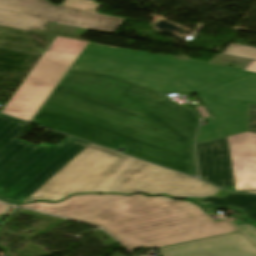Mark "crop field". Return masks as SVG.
Returning a JSON list of instances; mask_svg holds the SVG:
<instances>
[{
  "label": "crop field",
  "mask_w": 256,
  "mask_h": 256,
  "mask_svg": "<svg viewBox=\"0 0 256 256\" xmlns=\"http://www.w3.org/2000/svg\"><path fill=\"white\" fill-rule=\"evenodd\" d=\"M156 56L88 42L31 122L103 146L118 135L123 153L196 176L199 120L166 94L221 83Z\"/></svg>",
  "instance_id": "1"
},
{
  "label": "crop field",
  "mask_w": 256,
  "mask_h": 256,
  "mask_svg": "<svg viewBox=\"0 0 256 256\" xmlns=\"http://www.w3.org/2000/svg\"><path fill=\"white\" fill-rule=\"evenodd\" d=\"M18 206L102 226L129 249L160 248L237 231L228 220L214 222L197 205L169 197L87 194L58 204Z\"/></svg>",
  "instance_id": "2"
},
{
  "label": "crop field",
  "mask_w": 256,
  "mask_h": 256,
  "mask_svg": "<svg viewBox=\"0 0 256 256\" xmlns=\"http://www.w3.org/2000/svg\"><path fill=\"white\" fill-rule=\"evenodd\" d=\"M218 190L201 180L90 144L27 201H58L72 193L87 192L166 193L176 198H203Z\"/></svg>",
  "instance_id": "3"
},
{
  "label": "crop field",
  "mask_w": 256,
  "mask_h": 256,
  "mask_svg": "<svg viewBox=\"0 0 256 256\" xmlns=\"http://www.w3.org/2000/svg\"><path fill=\"white\" fill-rule=\"evenodd\" d=\"M29 123L0 115V200L25 202L89 143L68 137L58 146L18 140Z\"/></svg>",
  "instance_id": "4"
},
{
  "label": "crop field",
  "mask_w": 256,
  "mask_h": 256,
  "mask_svg": "<svg viewBox=\"0 0 256 256\" xmlns=\"http://www.w3.org/2000/svg\"><path fill=\"white\" fill-rule=\"evenodd\" d=\"M101 4L88 0H0V25L44 30L46 21L114 34L124 17L100 14Z\"/></svg>",
  "instance_id": "5"
},
{
  "label": "crop field",
  "mask_w": 256,
  "mask_h": 256,
  "mask_svg": "<svg viewBox=\"0 0 256 256\" xmlns=\"http://www.w3.org/2000/svg\"><path fill=\"white\" fill-rule=\"evenodd\" d=\"M198 96L215 118L208 120V126H201L196 143L245 132L248 103L256 104V73L203 91Z\"/></svg>",
  "instance_id": "6"
},
{
  "label": "crop field",
  "mask_w": 256,
  "mask_h": 256,
  "mask_svg": "<svg viewBox=\"0 0 256 256\" xmlns=\"http://www.w3.org/2000/svg\"><path fill=\"white\" fill-rule=\"evenodd\" d=\"M76 57L44 52L1 112L30 120Z\"/></svg>",
  "instance_id": "7"
},
{
  "label": "crop field",
  "mask_w": 256,
  "mask_h": 256,
  "mask_svg": "<svg viewBox=\"0 0 256 256\" xmlns=\"http://www.w3.org/2000/svg\"><path fill=\"white\" fill-rule=\"evenodd\" d=\"M159 250L161 256H256V248L241 233Z\"/></svg>",
  "instance_id": "8"
},
{
  "label": "crop field",
  "mask_w": 256,
  "mask_h": 256,
  "mask_svg": "<svg viewBox=\"0 0 256 256\" xmlns=\"http://www.w3.org/2000/svg\"><path fill=\"white\" fill-rule=\"evenodd\" d=\"M200 178L221 188L233 183L227 137L196 144Z\"/></svg>",
  "instance_id": "9"
},
{
  "label": "crop field",
  "mask_w": 256,
  "mask_h": 256,
  "mask_svg": "<svg viewBox=\"0 0 256 256\" xmlns=\"http://www.w3.org/2000/svg\"><path fill=\"white\" fill-rule=\"evenodd\" d=\"M236 191L256 189V135L228 137Z\"/></svg>",
  "instance_id": "10"
},
{
  "label": "crop field",
  "mask_w": 256,
  "mask_h": 256,
  "mask_svg": "<svg viewBox=\"0 0 256 256\" xmlns=\"http://www.w3.org/2000/svg\"><path fill=\"white\" fill-rule=\"evenodd\" d=\"M157 58H159L163 61H169L177 66L186 65V66H188L202 74H205L221 83H224L231 79H234L239 76L250 73V72L239 71V70H234V69H229V68H224V67H219V66H213V65H208V64L198 63V62H192V61H187V60H182V59H177V58H172V57H166V56H161V55H158Z\"/></svg>",
  "instance_id": "11"
},
{
  "label": "crop field",
  "mask_w": 256,
  "mask_h": 256,
  "mask_svg": "<svg viewBox=\"0 0 256 256\" xmlns=\"http://www.w3.org/2000/svg\"><path fill=\"white\" fill-rule=\"evenodd\" d=\"M208 202L218 208H224L226 206L240 208L248 218L256 221V195L232 193L222 199L213 196L199 203L205 205Z\"/></svg>",
  "instance_id": "12"
},
{
  "label": "crop field",
  "mask_w": 256,
  "mask_h": 256,
  "mask_svg": "<svg viewBox=\"0 0 256 256\" xmlns=\"http://www.w3.org/2000/svg\"><path fill=\"white\" fill-rule=\"evenodd\" d=\"M51 46L48 51H57L69 54L80 55L83 48L87 44L85 41L55 37L51 42Z\"/></svg>",
  "instance_id": "13"
},
{
  "label": "crop field",
  "mask_w": 256,
  "mask_h": 256,
  "mask_svg": "<svg viewBox=\"0 0 256 256\" xmlns=\"http://www.w3.org/2000/svg\"><path fill=\"white\" fill-rule=\"evenodd\" d=\"M223 53L229 54V55L245 57V58L256 59V49L255 48L244 47V46H239V45L230 44L225 49V51Z\"/></svg>",
  "instance_id": "14"
},
{
  "label": "crop field",
  "mask_w": 256,
  "mask_h": 256,
  "mask_svg": "<svg viewBox=\"0 0 256 256\" xmlns=\"http://www.w3.org/2000/svg\"><path fill=\"white\" fill-rule=\"evenodd\" d=\"M236 226L256 245V227L248 224H238Z\"/></svg>",
  "instance_id": "15"
},
{
  "label": "crop field",
  "mask_w": 256,
  "mask_h": 256,
  "mask_svg": "<svg viewBox=\"0 0 256 256\" xmlns=\"http://www.w3.org/2000/svg\"><path fill=\"white\" fill-rule=\"evenodd\" d=\"M248 132L256 134V105L249 104Z\"/></svg>",
  "instance_id": "16"
},
{
  "label": "crop field",
  "mask_w": 256,
  "mask_h": 256,
  "mask_svg": "<svg viewBox=\"0 0 256 256\" xmlns=\"http://www.w3.org/2000/svg\"><path fill=\"white\" fill-rule=\"evenodd\" d=\"M127 139L116 136L111 142H109L106 147L116 150L119 146L125 143Z\"/></svg>",
  "instance_id": "17"
},
{
  "label": "crop field",
  "mask_w": 256,
  "mask_h": 256,
  "mask_svg": "<svg viewBox=\"0 0 256 256\" xmlns=\"http://www.w3.org/2000/svg\"><path fill=\"white\" fill-rule=\"evenodd\" d=\"M9 208L10 205L0 203V214H6Z\"/></svg>",
  "instance_id": "18"
},
{
  "label": "crop field",
  "mask_w": 256,
  "mask_h": 256,
  "mask_svg": "<svg viewBox=\"0 0 256 256\" xmlns=\"http://www.w3.org/2000/svg\"><path fill=\"white\" fill-rule=\"evenodd\" d=\"M245 70L256 72V60H253Z\"/></svg>",
  "instance_id": "19"
},
{
  "label": "crop field",
  "mask_w": 256,
  "mask_h": 256,
  "mask_svg": "<svg viewBox=\"0 0 256 256\" xmlns=\"http://www.w3.org/2000/svg\"><path fill=\"white\" fill-rule=\"evenodd\" d=\"M226 194H228V193L227 192H223V191L220 190L219 193L217 194V196L222 197V196H224Z\"/></svg>",
  "instance_id": "20"
},
{
  "label": "crop field",
  "mask_w": 256,
  "mask_h": 256,
  "mask_svg": "<svg viewBox=\"0 0 256 256\" xmlns=\"http://www.w3.org/2000/svg\"><path fill=\"white\" fill-rule=\"evenodd\" d=\"M246 192H250V193H256V191H246Z\"/></svg>",
  "instance_id": "21"
},
{
  "label": "crop field",
  "mask_w": 256,
  "mask_h": 256,
  "mask_svg": "<svg viewBox=\"0 0 256 256\" xmlns=\"http://www.w3.org/2000/svg\"><path fill=\"white\" fill-rule=\"evenodd\" d=\"M93 1H97V0H93Z\"/></svg>",
  "instance_id": "22"
}]
</instances>
